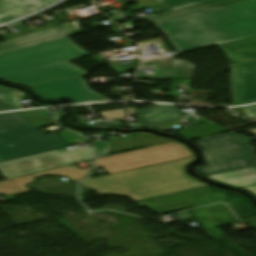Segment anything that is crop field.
I'll use <instances>...</instances> for the list:
<instances>
[{"label": "crop field", "instance_id": "8a807250", "mask_svg": "<svg viewBox=\"0 0 256 256\" xmlns=\"http://www.w3.org/2000/svg\"><path fill=\"white\" fill-rule=\"evenodd\" d=\"M89 56L68 38L0 55V80L28 87L46 101L75 103L106 98L87 87L79 76L86 72L66 61Z\"/></svg>", "mask_w": 256, "mask_h": 256}, {"label": "crop field", "instance_id": "ac0d7876", "mask_svg": "<svg viewBox=\"0 0 256 256\" xmlns=\"http://www.w3.org/2000/svg\"><path fill=\"white\" fill-rule=\"evenodd\" d=\"M181 53L256 35V0L156 24Z\"/></svg>", "mask_w": 256, "mask_h": 256}, {"label": "crop field", "instance_id": "34b2d1b8", "mask_svg": "<svg viewBox=\"0 0 256 256\" xmlns=\"http://www.w3.org/2000/svg\"><path fill=\"white\" fill-rule=\"evenodd\" d=\"M195 159L160 164L156 166L81 181L84 187H92L99 195L126 196L141 200L183 190L206 186L184 173L186 164Z\"/></svg>", "mask_w": 256, "mask_h": 256}, {"label": "crop field", "instance_id": "412701ff", "mask_svg": "<svg viewBox=\"0 0 256 256\" xmlns=\"http://www.w3.org/2000/svg\"><path fill=\"white\" fill-rule=\"evenodd\" d=\"M203 151L206 166L196 172L207 176L256 167V155L249 138L233 132L193 141Z\"/></svg>", "mask_w": 256, "mask_h": 256}, {"label": "crop field", "instance_id": "f4fd0767", "mask_svg": "<svg viewBox=\"0 0 256 256\" xmlns=\"http://www.w3.org/2000/svg\"><path fill=\"white\" fill-rule=\"evenodd\" d=\"M66 146L58 132L43 136L19 112L0 114V156L5 160Z\"/></svg>", "mask_w": 256, "mask_h": 256}, {"label": "crop field", "instance_id": "dd49c442", "mask_svg": "<svg viewBox=\"0 0 256 256\" xmlns=\"http://www.w3.org/2000/svg\"><path fill=\"white\" fill-rule=\"evenodd\" d=\"M232 60L235 106L256 102V36L219 45Z\"/></svg>", "mask_w": 256, "mask_h": 256}, {"label": "crop field", "instance_id": "e52e79f7", "mask_svg": "<svg viewBox=\"0 0 256 256\" xmlns=\"http://www.w3.org/2000/svg\"><path fill=\"white\" fill-rule=\"evenodd\" d=\"M192 156L194 154L190 149L176 141L97 159L94 167L102 166L109 174H112Z\"/></svg>", "mask_w": 256, "mask_h": 256}, {"label": "crop field", "instance_id": "d8731c3e", "mask_svg": "<svg viewBox=\"0 0 256 256\" xmlns=\"http://www.w3.org/2000/svg\"><path fill=\"white\" fill-rule=\"evenodd\" d=\"M88 171L89 168L84 170H76L74 167L67 166L25 177L4 180L0 181V193H3L5 196H9L18 193L28 192L29 190L24 185L33 182L34 179L44 175H58L76 181L86 178L88 175Z\"/></svg>", "mask_w": 256, "mask_h": 256}, {"label": "crop field", "instance_id": "5a996713", "mask_svg": "<svg viewBox=\"0 0 256 256\" xmlns=\"http://www.w3.org/2000/svg\"><path fill=\"white\" fill-rule=\"evenodd\" d=\"M68 37L63 25L0 43V54Z\"/></svg>", "mask_w": 256, "mask_h": 256}, {"label": "crop field", "instance_id": "3316defc", "mask_svg": "<svg viewBox=\"0 0 256 256\" xmlns=\"http://www.w3.org/2000/svg\"><path fill=\"white\" fill-rule=\"evenodd\" d=\"M57 0H0V24L33 13Z\"/></svg>", "mask_w": 256, "mask_h": 256}, {"label": "crop field", "instance_id": "28ad6ade", "mask_svg": "<svg viewBox=\"0 0 256 256\" xmlns=\"http://www.w3.org/2000/svg\"><path fill=\"white\" fill-rule=\"evenodd\" d=\"M242 1H246V0H212V1L188 6V7L173 10V11H167L164 13H160L158 15H151L143 18L142 20H145L151 24H155V23H160V22L188 16L191 14L215 9L218 7H222V6H226V5H230V4H234Z\"/></svg>", "mask_w": 256, "mask_h": 256}, {"label": "crop field", "instance_id": "d1516ede", "mask_svg": "<svg viewBox=\"0 0 256 256\" xmlns=\"http://www.w3.org/2000/svg\"><path fill=\"white\" fill-rule=\"evenodd\" d=\"M142 128L154 129L182 113L176 106L153 105L136 111Z\"/></svg>", "mask_w": 256, "mask_h": 256}, {"label": "crop field", "instance_id": "22f410ed", "mask_svg": "<svg viewBox=\"0 0 256 256\" xmlns=\"http://www.w3.org/2000/svg\"><path fill=\"white\" fill-rule=\"evenodd\" d=\"M172 140L160 139L144 133H136L125 136V138H109L110 153L133 149L137 146L148 147Z\"/></svg>", "mask_w": 256, "mask_h": 256}, {"label": "crop field", "instance_id": "cbeb9de0", "mask_svg": "<svg viewBox=\"0 0 256 256\" xmlns=\"http://www.w3.org/2000/svg\"><path fill=\"white\" fill-rule=\"evenodd\" d=\"M195 66L181 60H174L172 70L155 69L152 76L137 75L138 79L166 80L174 78H192Z\"/></svg>", "mask_w": 256, "mask_h": 256}, {"label": "crop field", "instance_id": "5142ce71", "mask_svg": "<svg viewBox=\"0 0 256 256\" xmlns=\"http://www.w3.org/2000/svg\"><path fill=\"white\" fill-rule=\"evenodd\" d=\"M207 178L218 181L223 184H229L230 186L236 187V188L256 185V179L250 180V181L238 182L241 180L256 178V168H250V169H245L240 171L207 176ZM244 182H247V183H244Z\"/></svg>", "mask_w": 256, "mask_h": 256}, {"label": "crop field", "instance_id": "d9b57169", "mask_svg": "<svg viewBox=\"0 0 256 256\" xmlns=\"http://www.w3.org/2000/svg\"><path fill=\"white\" fill-rule=\"evenodd\" d=\"M180 133L174 134L189 140L206 137L214 134H219L223 132H227L228 130L219 127L213 123L179 129Z\"/></svg>", "mask_w": 256, "mask_h": 256}, {"label": "crop field", "instance_id": "733c2abd", "mask_svg": "<svg viewBox=\"0 0 256 256\" xmlns=\"http://www.w3.org/2000/svg\"><path fill=\"white\" fill-rule=\"evenodd\" d=\"M13 90L0 86V111L22 109Z\"/></svg>", "mask_w": 256, "mask_h": 256}, {"label": "crop field", "instance_id": "4a817a6b", "mask_svg": "<svg viewBox=\"0 0 256 256\" xmlns=\"http://www.w3.org/2000/svg\"><path fill=\"white\" fill-rule=\"evenodd\" d=\"M168 10L208 1V0H159Z\"/></svg>", "mask_w": 256, "mask_h": 256}, {"label": "crop field", "instance_id": "bc2a9ffb", "mask_svg": "<svg viewBox=\"0 0 256 256\" xmlns=\"http://www.w3.org/2000/svg\"><path fill=\"white\" fill-rule=\"evenodd\" d=\"M94 144H95L96 159L110 155L108 143H94Z\"/></svg>", "mask_w": 256, "mask_h": 256}, {"label": "crop field", "instance_id": "214f88e0", "mask_svg": "<svg viewBox=\"0 0 256 256\" xmlns=\"http://www.w3.org/2000/svg\"><path fill=\"white\" fill-rule=\"evenodd\" d=\"M99 114L103 116L106 120L116 119V118L125 116L123 110H114V111L102 112Z\"/></svg>", "mask_w": 256, "mask_h": 256}, {"label": "crop field", "instance_id": "92a150f3", "mask_svg": "<svg viewBox=\"0 0 256 256\" xmlns=\"http://www.w3.org/2000/svg\"><path fill=\"white\" fill-rule=\"evenodd\" d=\"M249 118L256 117V106L247 107L243 109Z\"/></svg>", "mask_w": 256, "mask_h": 256}, {"label": "crop field", "instance_id": "dafd665d", "mask_svg": "<svg viewBox=\"0 0 256 256\" xmlns=\"http://www.w3.org/2000/svg\"><path fill=\"white\" fill-rule=\"evenodd\" d=\"M246 225L256 229V216L242 220Z\"/></svg>", "mask_w": 256, "mask_h": 256}, {"label": "crop field", "instance_id": "00972430", "mask_svg": "<svg viewBox=\"0 0 256 256\" xmlns=\"http://www.w3.org/2000/svg\"><path fill=\"white\" fill-rule=\"evenodd\" d=\"M243 190L249 191V192H251L252 194H254L256 196V186L248 187V188H245Z\"/></svg>", "mask_w": 256, "mask_h": 256}, {"label": "crop field", "instance_id": "a9b5d70f", "mask_svg": "<svg viewBox=\"0 0 256 256\" xmlns=\"http://www.w3.org/2000/svg\"><path fill=\"white\" fill-rule=\"evenodd\" d=\"M127 110H128L129 115H133L135 113L134 109L128 108Z\"/></svg>", "mask_w": 256, "mask_h": 256}, {"label": "crop field", "instance_id": "4177f3b9", "mask_svg": "<svg viewBox=\"0 0 256 256\" xmlns=\"http://www.w3.org/2000/svg\"><path fill=\"white\" fill-rule=\"evenodd\" d=\"M0 161H2V159L0 158Z\"/></svg>", "mask_w": 256, "mask_h": 256}]
</instances>
